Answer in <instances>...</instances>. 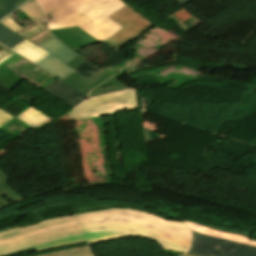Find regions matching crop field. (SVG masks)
<instances>
[{
    "label": "crop field",
    "mask_w": 256,
    "mask_h": 256,
    "mask_svg": "<svg viewBox=\"0 0 256 256\" xmlns=\"http://www.w3.org/2000/svg\"><path fill=\"white\" fill-rule=\"evenodd\" d=\"M124 236H144L162 249L185 253L191 248V230L183 223L149 213L111 209L54 218L0 233V256L34 247L36 251Z\"/></svg>",
    "instance_id": "8a807250"
},
{
    "label": "crop field",
    "mask_w": 256,
    "mask_h": 256,
    "mask_svg": "<svg viewBox=\"0 0 256 256\" xmlns=\"http://www.w3.org/2000/svg\"><path fill=\"white\" fill-rule=\"evenodd\" d=\"M54 22L49 30L78 25L101 43L123 26L107 17L125 4L120 0H36Z\"/></svg>",
    "instance_id": "ac0d7876"
},
{
    "label": "crop field",
    "mask_w": 256,
    "mask_h": 256,
    "mask_svg": "<svg viewBox=\"0 0 256 256\" xmlns=\"http://www.w3.org/2000/svg\"><path fill=\"white\" fill-rule=\"evenodd\" d=\"M192 230V248L187 254L196 256H256V242L184 222Z\"/></svg>",
    "instance_id": "34b2d1b8"
},
{
    "label": "crop field",
    "mask_w": 256,
    "mask_h": 256,
    "mask_svg": "<svg viewBox=\"0 0 256 256\" xmlns=\"http://www.w3.org/2000/svg\"><path fill=\"white\" fill-rule=\"evenodd\" d=\"M138 108L136 90H127L86 100L70 112V120L91 118Z\"/></svg>",
    "instance_id": "412701ff"
},
{
    "label": "crop field",
    "mask_w": 256,
    "mask_h": 256,
    "mask_svg": "<svg viewBox=\"0 0 256 256\" xmlns=\"http://www.w3.org/2000/svg\"><path fill=\"white\" fill-rule=\"evenodd\" d=\"M108 18L124 26L102 43L117 53L122 46L139 37L154 25L129 6H125Z\"/></svg>",
    "instance_id": "f4fd0767"
},
{
    "label": "crop field",
    "mask_w": 256,
    "mask_h": 256,
    "mask_svg": "<svg viewBox=\"0 0 256 256\" xmlns=\"http://www.w3.org/2000/svg\"><path fill=\"white\" fill-rule=\"evenodd\" d=\"M38 47L49 53L50 56L48 55L49 57L37 65L61 80L75 72L65 64L78 54L72 52L57 39L52 37L48 41L38 45Z\"/></svg>",
    "instance_id": "dd49c442"
},
{
    "label": "crop field",
    "mask_w": 256,
    "mask_h": 256,
    "mask_svg": "<svg viewBox=\"0 0 256 256\" xmlns=\"http://www.w3.org/2000/svg\"><path fill=\"white\" fill-rule=\"evenodd\" d=\"M50 32L66 45L70 46L73 50L99 43V41L94 39L78 26L51 30Z\"/></svg>",
    "instance_id": "e52e79f7"
},
{
    "label": "crop field",
    "mask_w": 256,
    "mask_h": 256,
    "mask_svg": "<svg viewBox=\"0 0 256 256\" xmlns=\"http://www.w3.org/2000/svg\"><path fill=\"white\" fill-rule=\"evenodd\" d=\"M41 89L53 95L54 97H56L57 99H59L71 108L80 104L82 101H84L86 97L58 79L45 85Z\"/></svg>",
    "instance_id": "d8731c3e"
},
{
    "label": "crop field",
    "mask_w": 256,
    "mask_h": 256,
    "mask_svg": "<svg viewBox=\"0 0 256 256\" xmlns=\"http://www.w3.org/2000/svg\"><path fill=\"white\" fill-rule=\"evenodd\" d=\"M110 77L111 76H109L102 70L89 76L88 78L75 72L62 81L74 88L75 90L81 92L82 94L87 95V93L91 89H93Z\"/></svg>",
    "instance_id": "5a996713"
},
{
    "label": "crop field",
    "mask_w": 256,
    "mask_h": 256,
    "mask_svg": "<svg viewBox=\"0 0 256 256\" xmlns=\"http://www.w3.org/2000/svg\"><path fill=\"white\" fill-rule=\"evenodd\" d=\"M18 9L21 10L23 13H25L27 16H29L33 21L45 20L43 12L38 7L35 0H30V1L26 2L25 4H23L22 6H20L19 8H17L10 15H8L6 18H4L0 21V22L4 23L5 25H7L9 28H11L15 32L22 29V27H20L18 24H16L9 17L13 13H15Z\"/></svg>",
    "instance_id": "3316defc"
},
{
    "label": "crop field",
    "mask_w": 256,
    "mask_h": 256,
    "mask_svg": "<svg viewBox=\"0 0 256 256\" xmlns=\"http://www.w3.org/2000/svg\"><path fill=\"white\" fill-rule=\"evenodd\" d=\"M21 35L22 37L30 40L35 45H38L45 40L49 39L52 37L47 30L46 25L40 23V22H35L26 28H24L22 31L17 33Z\"/></svg>",
    "instance_id": "28ad6ade"
},
{
    "label": "crop field",
    "mask_w": 256,
    "mask_h": 256,
    "mask_svg": "<svg viewBox=\"0 0 256 256\" xmlns=\"http://www.w3.org/2000/svg\"><path fill=\"white\" fill-rule=\"evenodd\" d=\"M13 50L36 64L49 55L30 43L28 40H25L15 46Z\"/></svg>",
    "instance_id": "d1516ede"
},
{
    "label": "crop field",
    "mask_w": 256,
    "mask_h": 256,
    "mask_svg": "<svg viewBox=\"0 0 256 256\" xmlns=\"http://www.w3.org/2000/svg\"><path fill=\"white\" fill-rule=\"evenodd\" d=\"M8 178L9 177L0 169V209L10 205L3 196L8 195L16 203L24 200V198L8 186Z\"/></svg>",
    "instance_id": "22f410ed"
},
{
    "label": "crop field",
    "mask_w": 256,
    "mask_h": 256,
    "mask_svg": "<svg viewBox=\"0 0 256 256\" xmlns=\"http://www.w3.org/2000/svg\"><path fill=\"white\" fill-rule=\"evenodd\" d=\"M128 87L116 80L115 78H111L104 82L103 84L99 85L98 87L94 88L88 95V98L93 96H99L103 94L112 93L115 91L127 89ZM87 98V99H88Z\"/></svg>",
    "instance_id": "cbeb9de0"
},
{
    "label": "crop field",
    "mask_w": 256,
    "mask_h": 256,
    "mask_svg": "<svg viewBox=\"0 0 256 256\" xmlns=\"http://www.w3.org/2000/svg\"><path fill=\"white\" fill-rule=\"evenodd\" d=\"M21 121L25 122L29 126L33 127L36 126L48 119H50L49 116L45 115L44 113L40 112L39 110L31 107L24 113H22L20 116L17 117Z\"/></svg>",
    "instance_id": "5142ce71"
},
{
    "label": "crop field",
    "mask_w": 256,
    "mask_h": 256,
    "mask_svg": "<svg viewBox=\"0 0 256 256\" xmlns=\"http://www.w3.org/2000/svg\"><path fill=\"white\" fill-rule=\"evenodd\" d=\"M25 40L11 29L0 23V42L8 48H12L19 42Z\"/></svg>",
    "instance_id": "d9b57169"
},
{
    "label": "crop field",
    "mask_w": 256,
    "mask_h": 256,
    "mask_svg": "<svg viewBox=\"0 0 256 256\" xmlns=\"http://www.w3.org/2000/svg\"><path fill=\"white\" fill-rule=\"evenodd\" d=\"M39 256H93L89 247H80L68 250L57 251Z\"/></svg>",
    "instance_id": "733c2abd"
},
{
    "label": "crop field",
    "mask_w": 256,
    "mask_h": 256,
    "mask_svg": "<svg viewBox=\"0 0 256 256\" xmlns=\"http://www.w3.org/2000/svg\"><path fill=\"white\" fill-rule=\"evenodd\" d=\"M22 3L20 0H0V19L19 7Z\"/></svg>",
    "instance_id": "4a817a6b"
},
{
    "label": "crop field",
    "mask_w": 256,
    "mask_h": 256,
    "mask_svg": "<svg viewBox=\"0 0 256 256\" xmlns=\"http://www.w3.org/2000/svg\"><path fill=\"white\" fill-rule=\"evenodd\" d=\"M74 70L87 77V76L99 71L100 69H98L96 66H94L89 61H86Z\"/></svg>",
    "instance_id": "bc2a9ffb"
},
{
    "label": "crop field",
    "mask_w": 256,
    "mask_h": 256,
    "mask_svg": "<svg viewBox=\"0 0 256 256\" xmlns=\"http://www.w3.org/2000/svg\"><path fill=\"white\" fill-rule=\"evenodd\" d=\"M15 54L16 53L0 45V65L3 64L8 59H10L11 57H13Z\"/></svg>",
    "instance_id": "214f88e0"
},
{
    "label": "crop field",
    "mask_w": 256,
    "mask_h": 256,
    "mask_svg": "<svg viewBox=\"0 0 256 256\" xmlns=\"http://www.w3.org/2000/svg\"><path fill=\"white\" fill-rule=\"evenodd\" d=\"M1 109H0V128L2 126H4L5 124L9 123L10 121H12L13 119H15V116H13Z\"/></svg>",
    "instance_id": "92a150f3"
},
{
    "label": "crop field",
    "mask_w": 256,
    "mask_h": 256,
    "mask_svg": "<svg viewBox=\"0 0 256 256\" xmlns=\"http://www.w3.org/2000/svg\"><path fill=\"white\" fill-rule=\"evenodd\" d=\"M210 229L216 230V231H220V232H225V233H231V234H236V235H240L243 236L247 239H250L251 236H249L248 234L245 233H240V232H235V231H229V230H224V229H220V228H216V227H212V226H206Z\"/></svg>",
    "instance_id": "dafd665d"
},
{
    "label": "crop field",
    "mask_w": 256,
    "mask_h": 256,
    "mask_svg": "<svg viewBox=\"0 0 256 256\" xmlns=\"http://www.w3.org/2000/svg\"><path fill=\"white\" fill-rule=\"evenodd\" d=\"M84 61H86V59L82 58L81 56H77L76 58H74L72 61H70L68 64V66H70L71 68H76L77 66H79L81 63H83Z\"/></svg>",
    "instance_id": "00972430"
},
{
    "label": "crop field",
    "mask_w": 256,
    "mask_h": 256,
    "mask_svg": "<svg viewBox=\"0 0 256 256\" xmlns=\"http://www.w3.org/2000/svg\"><path fill=\"white\" fill-rule=\"evenodd\" d=\"M50 124H52V120H49V121H47V122H45V123H42V124H40V125H38V126H36V127H34V128H36L37 130H39V129H41V128L47 126V125H50Z\"/></svg>",
    "instance_id": "a9b5d70f"
},
{
    "label": "crop field",
    "mask_w": 256,
    "mask_h": 256,
    "mask_svg": "<svg viewBox=\"0 0 256 256\" xmlns=\"http://www.w3.org/2000/svg\"><path fill=\"white\" fill-rule=\"evenodd\" d=\"M175 1L177 4H179L181 7L186 4L189 0H173Z\"/></svg>",
    "instance_id": "4177f3b9"
},
{
    "label": "crop field",
    "mask_w": 256,
    "mask_h": 256,
    "mask_svg": "<svg viewBox=\"0 0 256 256\" xmlns=\"http://www.w3.org/2000/svg\"><path fill=\"white\" fill-rule=\"evenodd\" d=\"M181 256H191V255L183 254V255H181Z\"/></svg>",
    "instance_id": "730fd06b"
}]
</instances>
